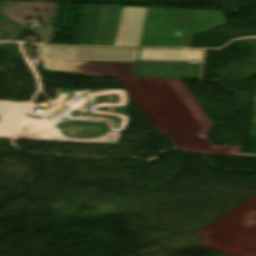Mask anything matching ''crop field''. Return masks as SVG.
<instances>
[{"label": "crop field", "instance_id": "crop-field-2", "mask_svg": "<svg viewBox=\"0 0 256 256\" xmlns=\"http://www.w3.org/2000/svg\"><path fill=\"white\" fill-rule=\"evenodd\" d=\"M43 70L61 71L64 60L136 62L139 49L41 46Z\"/></svg>", "mask_w": 256, "mask_h": 256}, {"label": "crop field", "instance_id": "crop-field-8", "mask_svg": "<svg viewBox=\"0 0 256 256\" xmlns=\"http://www.w3.org/2000/svg\"><path fill=\"white\" fill-rule=\"evenodd\" d=\"M201 64L183 63L178 78L199 79Z\"/></svg>", "mask_w": 256, "mask_h": 256}, {"label": "crop field", "instance_id": "crop-field-6", "mask_svg": "<svg viewBox=\"0 0 256 256\" xmlns=\"http://www.w3.org/2000/svg\"><path fill=\"white\" fill-rule=\"evenodd\" d=\"M101 6L87 5L78 43L92 45Z\"/></svg>", "mask_w": 256, "mask_h": 256}, {"label": "crop field", "instance_id": "crop-field-5", "mask_svg": "<svg viewBox=\"0 0 256 256\" xmlns=\"http://www.w3.org/2000/svg\"><path fill=\"white\" fill-rule=\"evenodd\" d=\"M181 64L139 62L135 77L177 78Z\"/></svg>", "mask_w": 256, "mask_h": 256}, {"label": "crop field", "instance_id": "crop-field-1", "mask_svg": "<svg viewBox=\"0 0 256 256\" xmlns=\"http://www.w3.org/2000/svg\"><path fill=\"white\" fill-rule=\"evenodd\" d=\"M222 13L202 11V21H194L195 10L150 9L143 46L188 47L190 35L225 25L226 19L220 17Z\"/></svg>", "mask_w": 256, "mask_h": 256}, {"label": "crop field", "instance_id": "crop-field-4", "mask_svg": "<svg viewBox=\"0 0 256 256\" xmlns=\"http://www.w3.org/2000/svg\"><path fill=\"white\" fill-rule=\"evenodd\" d=\"M121 9L102 6L93 45H113Z\"/></svg>", "mask_w": 256, "mask_h": 256}, {"label": "crop field", "instance_id": "crop-field-3", "mask_svg": "<svg viewBox=\"0 0 256 256\" xmlns=\"http://www.w3.org/2000/svg\"><path fill=\"white\" fill-rule=\"evenodd\" d=\"M147 9L123 7L114 45H140Z\"/></svg>", "mask_w": 256, "mask_h": 256}, {"label": "crop field", "instance_id": "crop-field-10", "mask_svg": "<svg viewBox=\"0 0 256 256\" xmlns=\"http://www.w3.org/2000/svg\"><path fill=\"white\" fill-rule=\"evenodd\" d=\"M254 119H256V108H255V116H254Z\"/></svg>", "mask_w": 256, "mask_h": 256}, {"label": "crop field", "instance_id": "crop-field-9", "mask_svg": "<svg viewBox=\"0 0 256 256\" xmlns=\"http://www.w3.org/2000/svg\"><path fill=\"white\" fill-rule=\"evenodd\" d=\"M203 51L185 50V60L201 61Z\"/></svg>", "mask_w": 256, "mask_h": 256}, {"label": "crop field", "instance_id": "crop-field-7", "mask_svg": "<svg viewBox=\"0 0 256 256\" xmlns=\"http://www.w3.org/2000/svg\"><path fill=\"white\" fill-rule=\"evenodd\" d=\"M140 60L184 62V50L142 49Z\"/></svg>", "mask_w": 256, "mask_h": 256}]
</instances>
